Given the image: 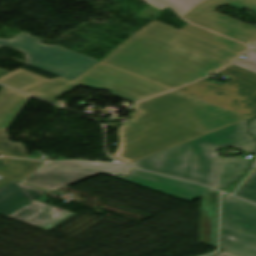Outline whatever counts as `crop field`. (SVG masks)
Segmentation results:
<instances>
[{
  "label": "crop field",
  "instance_id": "obj_15",
  "mask_svg": "<svg viewBox=\"0 0 256 256\" xmlns=\"http://www.w3.org/2000/svg\"><path fill=\"white\" fill-rule=\"evenodd\" d=\"M42 162L0 158V175L19 181L32 173Z\"/></svg>",
  "mask_w": 256,
  "mask_h": 256
},
{
  "label": "crop field",
  "instance_id": "obj_27",
  "mask_svg": "<svg viewBox=\"0 0 256 256\" xmlns=\"http://www.w3.org/2000/svg\"><path fill=\"white\" fill-rule=\"evenodd\" d=\"M243 56L256 60V50L251 48L249 51H247L245 54H243Z\"/></svg>",
  "mask_w": 256,
  "mask_h": 256
},
{
  "label": "crop field",
  "instance_id": "obj_3",
  "mask_svg": "<svg viewBox=\"0 0 256 256\" xmlns=\"http://www.w3.org/2000/svg\"><path fill=\"white\" fill-rule=\"evenodd\" d=\"M225 146L255 154L256 141L248 133V121L243 120L129 164L214 187L222 161L220 152L214 149Z\"/></svg>",
  "mask_w": 256,
  "mask_h": 256
},
{
  "label": "crop field",
  "instance_id": "obj_30",
  "mask_svg": "<svg viewBox=\"0 0 256 256\" xmlns=\"http://www.w3.org/2000/svg\"><path fill=\"white\" fill-rule=\"evenodd\" d=\"M8 180H9V179H6V178L2 177V178L0 179V185H2L3 183L7 182Z\"/></svg>",
  "mask_w": 256,
  "mask_h": 256
},
{
  "label": "crop field",
  "instance_id": "obj_26",
  "mask_svg": "<svg viewBox=\"0 0 256 256\" xmlns=\"http://www.w3.org/2000/svg\"><path fill=\"white\" fill-rule=\"evenodd\" d=\"M147 3H149L150 5L158 8L159 10H162L166 7H168L167 5L163 4L162 2L158 1V0H143Z\"/></svg>",
  "mask_w": 256,
  "mask_h": 256
},
{
  "label": "crop field",
  "instance_id": "obj_31",
  "mask_svg": "<svg viewBox=\"0 0 256 256\" xmlns=\"http://www.w3.org/2000/svg\"><path fill=\"white\" fill-rule=\"evenodd\" d=\"M253 47H256V44H255V45H253Z\"/></svg>",
  "mask_w": 256,
  "mask_h": 256
},
{
  "label": "crop field",
  "instance_id": "obj_20",
  "mask_svg": "<svg viewBox=\"0 0 256 256\" xmlns=\"http://www.w3.org/2000/svg\"><path fill=\"white\" fill-rule=\"evenodd\" d=\"M234 195L256 202V170H254Z\"/></svg>",
  "mask_w": 256,
  "mask_h": 256
},
{
  "label": "crop field",
  "instance_id": "obj_17",
  "mask_svg": "<svg viewBox=\"0 0 256 256\" xmlns=\"http://www.w3.org/2000/svg\"><path fill=\"white\" fill-rule=\"evenodd\" d=\"M26 182L45 189L55 191L77 181L61 176L46 169L40 170L26 179Z\"/></svg>",
  "mask_w": 256,
  "mask_h": 256
},
{
  "label": "crop field",
  "instance_id": "obj_8",
  "mask_svg": "<svg viewBox=\"0 0 256 256\" xmlns=\"http://www.w3.org/2000/svg\"><path fill=\"white\" fill-rule=\"evenodd\" d=\"M226 4L237 10L248 7L256 14V0H206L183 18L238 41L252 44L256 41V27L213 11Z\"/></svg>",
  "mask_w": 256,
  "mask_h": 256
},
{
  "label": "crop field",
  "instance_id": "obj_2",
  "mask_svg": "<svg viewBox=\"0 0 256 256\" xmlns=\"http://www.w3.org/2000/svg\"><path fill=\"white\" fill-rule=\"evenodd\" d=\"M202 40L153 21L102 61L175 88L221 69L238 55Z\"/></svg>",
  "mask_w": 256,
  "mask_h": 256
},
{
  "label": "crop field",
  "instance_id": "obj_19",
  "mask_svg": "<svg viewBox=\"0 0 256 256\" xmlns=\"http://www.w3.org/2000/svg\"><path fill=\"white\" fill-rule=\"evenodd\" d=\"M48 79L31 72L18 69L0 78V83L25 91Z\"/></svg>",
  "mask_w": 256,
  "mask_h": 256
},
{
  "label": "crop field",
  "instance_id": "obj_14",
  "mask_svg": "<svg viewBox=\"0 0 256 256\" xmlns=\"http://www.w3.org/2000/svg\"><path fill=\"white\" fill-rule=\"evenodd\" d=\"M30 98L27 95L3 87L0 91V131L8 129Z\"/></svg>",
  "mask_w": 256,
  "mask_h": 256
},
{
  "label": "crop field",
  "instance_id": "obj_28",
  "mask_svg": "<svg viewBox=\"0 0 256 256\" xmlns=\"http://www.w3.org/2000/svg\"><path fill=\"white\" fill-rule=\"evenodd\" d=\"M250 129H251V133L256 138V119L250 122ZM255 161H256V158H255ZM255 161H254V163H255ZM254 163H253V165H254Z\"/></svg>",
  "mask_w": 256,
  "mask_h": 256
},
{
  "label": "crop field",
  "instance_id": "obj_21",
  "mask_svg": "<svg viewBox=\"0 0 256 256\" xmlns=\"http://www.w3.org/2000/svg\"><path fill=\"white\" fill-rule=\"evenodd\" d=\"M170 4L182 16L203 0H163Z\"/></svg>",
  "mask_w": 256,
  "mask_h": 256
},
{
  "label": "crop field",
  "instance_id": "obj_29",
  "mask_svg": "<svg viewBox=\"0 0 256 256\" xmlns=\"http://www.w3.org/2000/svg\"><path fill=\"white\" fill-rule=\"evenodd\" d=\"M212 256H235V255L230 254V253L224 251V252H222V253H220V254H216V255H212Z\"/></svg>",
  "mask_w": 256,
  "mask_h": 256
},
{
  "label": "crop field",
  "instance_id": "obj_5",
  "mask_svg": "<svg viewBox=\"0 0 256 256\" xmlns=\"http://www.w3.org/2000/svg\"><path fill=\"white\" fill-rule=\"evenodd\" d=\"M219 73L232 78L223 87L201 80L178 90L251 118L256 117V73L236 66Z\"/></svg>",
  "mask_w": 256,
  "mask_h": 256
},
{
  "label": "crop field",
  "instance_id": "obj_11",
  "mask_svg": "<svg viewBox=\"0 0 256 256\" xmlns=\"http://www.w3.org/2000/svg\"><path fill=\"white\" fill-rule=\"evenodd\" d=\"M51 167L48 170L62 174L69 178L77 181L86 179L97 173H107L111 175H128L132 168L127 166H120L115 164H101V163H90V162H55L49 164Z\"/></svg>",
  "mask_w": 256,
  "mask_h": 256
},
{
  "label": "crop field",
  "instance_id": "obj_23",
  "mask_svg": "<svg viewBox=\"0 0 256 256\" xmlns=\"http://www.w3.org/2000/svg\"><path fill=\"white\" fill-rule=\"evenodd\" d=\"M14 157L28 158L26 148L22 146V143L11 142Z\"/></svg>",
  "mask_w": 256,
  "mask_h": 256
},
{
  "label": "crop field",
  "instance_id": "obj_7",
  "mask_svg": "<svg viewBox=\"0 0 256 256\" xmlns=\"http://www.w3.org/2000/svg\"><path fill=\"white\" fill-rule=\"evenodd\" d=\"M222 249L256 256V206L224 194Z\"/></svg>",
  "mask_w": 256,
  "mask_h": 256
},
{
  "label": "crop field",
  "instance_id": "obj_9",
  "mask_svg": "<svg viewBox=\"0 0 256 256\" xmlns=\"http://www.w3.org/2000/svg\"><path fill=\"white\" fill-rule=\"evenodd\" d=\"M117 177L187 202L215 191L210 188L149 174L135 169L132 170L128 177L121 175Z\"/></svg>",
  "mask_w": 256,
  "mask_h": 256
},
{
  "label": "crop field",
  "instance_id": "obj_22",
  "mask_svg": "<svg viewBox=\"0 0 256 256\" xmlns=\"http://www.w3.org/2000/svg\"><path fill=\"white\" fill-rule=\"evenodd\" d=\"M0 153L13 157L9 135L5 132H0Z\"/></svg>",
  "mask_w": 256,
  "mask_h": 256
},
{
  "label": "crop field",
  "instance_id": "obj_10",
  "mask_svg": "<svg viewBox=\"0 0 256 256\" xmlns=\"http://www.w3.org/2000/svg\"><path fill=\"white\" fill-rule=\"evenodd\" d=\"M8 217L48 230L74 213L33 200Z\"/></svg>",
  "mask_w": 256,
  "mask_h": 256
},
{
  "label": "crop field",
  "instance_id": "obj_24",
  "mask_svg": "<svg viewBox=\"0 0 256 256\" xmlns=\"http://www.w3.org/2000/svg\"><path fill=\"white\" fill-rule=\"evenodd\" d=\"M232 65H237V66L243 67L245 69H248V70L256 72V62L252 61L250 59H247V58L244 59V60L238 59Z\"/></svg>",
  "mask_w": 256,
  "mask_h": 256
},
{
  "label": "crop field",
  "instance_id": "obj_32",
  "mask_svg": "<svg viewBox=\"0 0 256 256\" xmlns=\"http://www.w3.org/2000/svg\"><path fill=\"white\" fill-rule=\"evenodd\" d=\"M255 169H256V167H255Z\"/></svg>",
  "mask_w": 256,
  "mask_h": 256
},
{
  "label": "crop field",
  "instance_id": "obj_18",
  "mask_svg": "<svg viewBox=\"0 0 256 256\" xmlns=\"http://www.w3.org/2000/svg\"><path fill=\"white\" fill-rule=\"evenodd\" d=\"M182 30L200 38L205 41H208L210 43H213L215 45H218L220 47H223L225 49L231 50L233 52H236L240 54L242 51H244L247 46H244L240 43H237L233 40L227 39L225 37L219 36L217 34L208 32L206 30L200 29L196 26H193L191 24L184 27Z\"/></svg>",
  "mask_w": 256,
  "mask_h": 256
},
{
  "label": "crop field",
  "instance_id": "obj_4",
  "mask_svg": "<svg viewBox=\"0 0 256 256\" xmlns=\"http://www.w3.org/2000/svg\"><path fill=\"white\" fill-rule=\"evenodd\" d=\"M80 83L94 89H106L132 103L172 89L99 62L74 81L59 77L25 92L50 101Z\"/></svg>",
  "mask_w": 256,
  "mask_h": 256
},
{
  "label": "crop field",
  "instance_id": "obj_13",
  "mask_svg": "<svg viewBox=\"0 0 256 256\" xmlns=\"http://www.w3.org/2000/svg\"><path fill=\"white\" fill-rule=\"evenodd\" d=\"M44 192L10 181L0 187V214L7 216Z\"/></svg>",
  "mask_w": 256,
  "mask_h": 256
},
{
  "label": "crop field",
  "instance_id": "obj_6",
  "mask_svg": "<svg viewBox=\"0 0 256 256\" xmlns=\"http://www.w3.org/2000/svg\"><path fill=\"white\" fill-rule=\"evenodd\" d=\"M40 39L20 34L12 40L0 39V48L11 46L26 54V64L74 80L99 61L60 46H45Z\"/></svg>",
  "mask_w": 256,
  "mask_h": 256
},
{
  "label": "crop field",
  "instance_id": "obj_16",
  "mask_svg": "<svg viewBox=\"0 0 256 256\" xmlns=\"http://www.w3.org/2000/svg\"><path fill=\"white\" fill-rule=\"evenodd\" d=\"M251 162L252 161L245 158H224L223 167L219 177L217 188H224L237 180L249 168Z\"/></svg>",
  "mask_w": 256,
  "mask_h": 256
},
{
  "label": "crop field",
  "instance_id": "obj_25",
  "mask_svg": "<svg viewBox=\"0 0 256 256\" xmlns=\"http://www.w3.org/2000/svg\"><path fill=\"white\" fill-rule=\"evenodd\" d=\"M249 171H250V170H249ZM249 171H248L243 177H241L240 180H239L237 183H235V184H233V185H231V186H229L228 188L223 189V190L226 191V192H228V193H230V194H232V193L234 192V190L239 186V184H240V183L245 179V177L248 175Z\"/></svg>",
  "mask_w": 256,
  "mask_h": 256
},
{
  "label": "crop field",
  "instance_id": "obj_12",
  "mask_svg": "<svg viewBox=\"0 0 256 256\" xmlns=\"http://www.w3.org/2000/svg\"><path fill=\"white\" fill-rule=\"evenodd\" d=\"M218 192L201 198L199 242L217 248Z\"/></svg>",
  "mask_w": 256,
  "mask_h": 256
},
{
  "label": "crop field",
  "instance_id": "obj_1",
  "mask_svg": "<svg viewBox=\"0 0 256 256\" xmlns=\"http://www.w3.org/2000/svg\"><path fill=\"white\" fill-rule=\"evenodd\" d=\"M131 110L138 113L119 126V146L112 155L126 163L248 118L177 90Z\"/></svg>",
  "mask_w": 256,
  "mask_h": 256
}]
</instances>
